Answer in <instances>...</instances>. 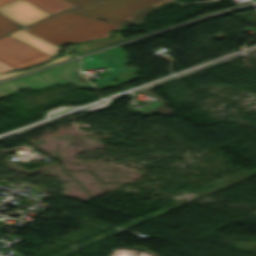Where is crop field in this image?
I'll return each mask as SVG.
<instances>
[{"label":"crop field","instance_id":"8a807250","mask_svg":"<svg viewBox=\"0 0 256 256\" xmlns=\"http://www.w3.org/2000/svg\"><path fill=\"white\" fill-rule=\"evenodd\" d=\"M123 28V26L68 11L27 27L29 31L58 46L64 43L106 38L110 36L108 34L110 30H121Z\"/></svg>","mask_w":256,"mask_h":256},{"label":"crop field","instance_id":"ac0d7876","mask_svg":"<svg viewBox=\"0 0 256 256\" xmlns=\"http://www.w3.org/2000/svg\"><path fill=\"white\" fill-rule=\"evenodd\" d=\"M75 6L89 0H65ZM172 0H92L68 11L119 25L140 24L147 12Z\"/></svg>","mask_w":256,"mask_h":256},{"label":"crop field","instance_id":"34b2d1b8","mask_svg":"<svg viewBox=\"0 0 256 256\" xmlns=\"http://www.w3.org/2000/svg\"><path fill=\"white\" fill-rule=\"evenodd\" d=\"M104 55H107L109 58H103ZM97 56H99V58H97ZM89 57L92 59L88 60L87 58ZM128 57L121 47H115L99 54L84 57V63L82 67L86 69L108 67L111 69L110 72L113 75L96 81L98 89L102 90L107 87L118 86L140 78L139 76L135 75L136 73L140 72L135 66L130 68L124 66V64L128 63L126 59ZM102 59H105L103 63H101ZM114 79L118 80L119 83H113L112 81Z\"/></svg>","mask_w":256,"mask_h":256},{"label":"crop field","instance_id":"412701ff","mask_svg":"<svg viewBox=\"0 0 256 256\" xmlns=\"http://www.w3.org/2000/svg\"><path fill=\"white\" fill-rule=\"evenodd\" d=\"M51 58L8 35L0 38V61L16 68H24Z\"/></svg>","mask_w":256,"mask_h":256},{"label":"crop field","instance_id":"f4fd0767","mask_svg":"<svg viewBox=\"0 0 256 256\" xmlns=\"http://www.w3.org/2000/svg\"><path fill=\"white\" fill-rule=\"evenodd\" d=\"M67 83L68 82L61 77L47 70L36 75L0 85V99L23 89L24 86H27L32 90H39L56 84L63 85Z\"/></svg>","mask_w":256,"mask_h":256},{"label":"crop field","instance_id":"dd49c442","mask_svg":"<svg viewBox=\"0 0 256 256\" xmlns=\"http://www.w3.org/2000/svg\"><path fill=\"white\" fill-rule=\"evenodd\" d=\"M0 12L25 26L47 16L49 13L39 9L26 0H16L0 7Z\"/></svg>","mask_w":256,"mask_h":256},{"label":"crop field","instance_id":"e52e79f7","mask_svg":"<svg viewBox=\"0 0 256 256\" xmlns=\"http://www.w3.org/2000/svg\"><path fill=\"white\" fill-rule=\"evenodd\" d=\"M9 36H11L15 39H18L30 46H33V47L47 53L48 55H50L52 57H54L58 51V48L53 47V46L43 42L42 40L36 38L35 36L29 34L24 28L9 34Z\"/></svg>","mask_w":256,"mask_h":256},{"label":"crop field","instance_id":"d8731c3e","mask_svg":"<svg viewBox=\"0 0 256 256\" xmlns=\"http://www.w3.org/2000/svg\"><path fill=\"white\" fill-rule=\"evenodd\" d=\"M79 65H80L79 60H77L68 64L55 67L50 71L58 74L59 76L67 80L69 83H74L78 86H81L87 89H94L93 85L87 82H83L75 76L76 71L79 69Z\"/></svg>","mask_w":256,"mask_h":256},{"label":"crop field","instance_id":"5a996713","mask_svg":"<svg viewBox=\"0 0 256 256\" xmlns=\"http://www.w3.org/2000/svg\"><path fill=\"white\" fill-rule=\"evenodd\" d=\"M36 6L50 12L52 15L65 9L74 7L64 0H28Z\"/></svg>","mask_w":256,"mask_h":256},{"label":"crop field","instance_id":"3316defc","mask_svg":"<svg viewBox=\"0 0 256 256\" xmlns=\"http://www.w3.org/2000/svg\"><path fill=\"white\" fill-rule=\"evenodd\" d=\"M121 40H124V38L121 36L120 32H117V33H115V37L110 39V40L87 42L85 44L75 46L74 49L78 53L82 54L84 52L94 50V49H97L99 47L106 46V45H109V44H112V43H115V42H118V41H121Z\"/></svg>","mask_w":256,"mask_h":256},{"label":"crop field","instance_id":"28ad6ade","mask_svg":"<svg viewBox=\"0 0 256 256\" xmlns=\"http://www.w3.org/2000/svg\"><path fill=\"white\" fill-rule=\"evenodd\" d=\"M18 29V26L0 14V30L8 34Z\"/></svg>","mask_w":256,"mask_h":256},{"label":"crop field","instance_id":"d1516ede","mask_svg":"<svg viewBox=\"0 0 256 256\" xmlns=\"http://www.w3.org/2000/svg\"><path fill=\"white\" fill-rule=\"evenodd\" d=\"M65 55L62 56V57H59V58H56L55 60L49 62L48 64L46 65H49V64H53V63H56V62H59V61H63V60H66V59H69V58H73L71 55H69L68 53L64 52ZM44 65V66H46ZM43 67V66H41ZM39 68V67H38ZM36 69V68H34ZM33 70V69H31ZM29 71V70H28ZM23 72H26V71H18V72H13V73H8V74H4V75H0V80L2 79H5V78H8V77H11V76H14V75H17V74H20V73H23Z\"/></svg>","mask_w":256,"mask_h":256},{"label":"crop field","instance_id":"22f410ed","mask_svg":"<svg viewBox=\"0 0 256 256\" xmlns=\"http://www.w3.org/2000/svg\"><path fill=\"white\" fill-rule=\"evenodd\" d=\"M153 111H155L157 113H160V114H163L165 116H167V115H169L170 113L173 112V110H171L170 108H168V107H166V106H164L162 104L160 106L154 108L153 110H148L146 112H144V111L143 112L144 113H150V112H153Z\"/></svg>","mask_w":256,"mask_h":256},{"label":"crop field","instance_id":"cbeb9de0","mask_svg":"<svg viewBox=\"0 0 256 256\" xmlns=\"http://www.w3.org/2000/svg\"><path fill=\"white\" fill-rule=\"evenodd\" d=\"M7 70H16V69H14V68H12V67H10V66L2 63V62H0V73H3L5 71H7Z\"/></svg>","mask_w":256,"mask_h":256},{"label":"crop field","instance_id":"5142ce71","mask_svg":"<svg viewBox=\"0 0 256 256\" xmlns=\"http://www.w3.org/2000/svg\"><path fill=\"white\" fill-rule=\"evenodd\" d=\"M10 1H13V0H0V6L4 5V4H6V3L10 2Z\"/></svg>","mask_w":256,"mask_h":256},{"label":"crop field","instance_id":"d9b57169","mask_svg":"<svg viewBox=\"0 0 256 256\" xmlns=\"http://www.w3.org/2000/svg\"><path fill=\"white\" fill-rule=\"evenodd\" d=\"M3 35H5V34H4L3 32H1V31H0V37H1V36H3Z\"/></svg>","mask_w":256,"mask_h":256}]
</instances>
